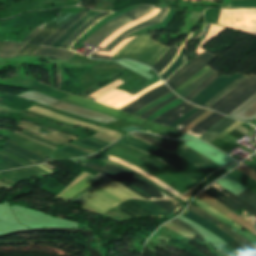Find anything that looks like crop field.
Returning a JSON list of instances; mask_svg holds the SVG:
<instances>
[{
	"instance_id": "obj_14",
	"label": "crop field",
	"mask_w": 256,
	"mask_h": 256,
	"mask_svg": "<svg viewBox=\"0 0 256 256\" xmlns=\"http://www.w3.org/2000/svg\"><path fill=\"white\" fill-rule=\"evenodd\" d=\"M184 217L194 221L195 223L199 224L203 228L207 229L208 231H210L211 233H213L214 235L222 239L224 242H226L228 245L235 242L231 238H229L227 235H225L223 232H221L219 229H217L214 225L198 218L196 215H194L190 211L187 214H185ZM229 246H231L235 251L239 252L243 256H255L250 251H248L247 249H245L244 247H242L236 242Z\"/></svg>"
},
{
	"instance_id": "obj_34",
	"label": "crop field",
	"mask_w": 256,
	"mask_h": 256,
	"mask_svg": "<svg viewBox=\"0 0 256 256\" xmlns=\"http://www.w3.org/2000/svg\"><path fill=\"white\" fill-rule=\"evenodd\" d=\"M17 96L28 98V99L40 102L45 105H51V104L58 102V100H56V99H53V98H50V97H47V96H44V95H41V94H38V93H35L32 91L25 92V93H22Z\"/></svg>"
},
{
	"instance_id": "obj_16",
	"label": "crop field",
	"mask_w": 256,
	"mask_h": 256,
	"mask_svg": "<svg viewBox=\"0 0 256 256\" xmlns=\"http://www.w3.org/2000/svg\"><path fill=\"white\" fill-rule=\"evenodd\" d=\"M188 209L193 211L198 216L211 221L213 224H215L218 228H220L223 232H225L227 235L235 239L237 242H239L241 245H243L245 248L250 250L256 255V246L245 239H243L241 236H239L236 232L231 230L230 228L226 227L222 222L218 221L217 219L213 218L212 216L206 214L202 210H200L197 207H193L192 205H189Z\"/></svg>"
},
{
	"instance_id": "obj_2",
	"label": "crop field",
	"mask_w": 256,
	"mask_h": 256,
	"mask_svg": "<svg viewBox=\"0 0 256 256\" xmlns=\"http://www.w3.org/2000/svg\"><path fill=\"white\" fill-rule=\"evenodd\" d=\"M66 103L88 108L100 113H104L113 117H116L118 119L124 120L126 122L132 123L134 125H137L141 128L147 129L146 132H150L156 135H159L161 137L167 138V139H176L183 135L184 133L178 132L172 128L161 126L152 122H149L147 120L139 119L135 116L129 115L127 113L116 111L114 109L102 106L100 104H97L95 102L86 101L83 99L76 98L72 95H66L63 100Z\"/></svg>"
},
{
	"instance_id": "obj_24",
	"label": "crop field",
	"mask_w": 256,
	"mask_h": 256,
	"mask_svg": "<svg viewBox=\"0 0 256 256\" xmlns=\"http://www.w3.org/2000/svg\"><path fill=\"white\" fill-rule=\"evenodd\" d=\"M161 9H162V8H161ZM158 11H159V9L155 8L152 12L146 14L145 16H143V17H141V18H139V19H137V20H135V21H133V22H131V23L125 25L124 27H122V28L116 30V31H115L114 33H112L109 37H107L104 41H102L101 44L99 45V47H101V48L104 49L112 40H114V39H115L119 34H121L124 30H126V29H128V28H130V27H132V26H134V25H136V24H138V23H140V22H142V21H144V20H146V19H148V18L154 16V15H156ZM160 11H161V10H160ZM160 11H159V13H160ZM159 13H158L157 15H159ZM157 15H156V16H157ZM123 33H124V32H123ZM119 36H120V35H119ZM112 42H113V41H112ZM112 42H111V43H112ZM111 43H110V44H111ZM110 44H109V45H110ZM109 45H108V46H109Z\"/></svg>"
},
{
	"instance_id": "obj_15",
	"label": "crop field",
	"mask_w": 256,
	"mask_h": 256,
	"mask_svg": "<svg viewBox=\"0 0 256 256\" xmlns=\"http://www.w3.org/2000/svg\"><path fill=\"white\" fill-rule=\"evenodd\" d=\"M49 107H53L62 111H66L84 118H88L91 120H95L98 122H102L105 124H110L112 122L117 121L118 119L112 118L110 116H106V115H102L99 113H96L94 111L88 110V109H84V108H80V107H76V106H72L66 103H62V102H58L57 104L53 105V106H49Z\"/></svg>"
},
{
	"instance_id": "obj_17",
	"label": "crop field",
	"mask_w": 256,
	"mask_h": 256,
	"mask_svg": "<svg viewBox=\"0 0 256 256\" xmlns=\"http://www.w3.org/2000/svg\"><path fill=\"white\" fill-rule=\"evenodd\" d=\"M169 92H171L170 89L165 85L158 87L153 91L143 95L142 97H140L139 99L131 103L130 105H128L126 108L123 109V111L133 114L139 109H141L143 106H145L146 104L162 97L163 95Z\"/></svg>"
},
{
	"instance_id": "obj_60",
	"label": "crop field",
	"mask_w": 256,
	"mask_h": 256,
	"mask_svg": "<svg viewBox=\"0 0 256 256\" xmlns=\"http://www.w3.org/2000/svg\"><path fill=\"white\" fill-rule=\"evenodd\" d=\"M91 58H99V59H106V60H110L109 57H105V56H98V55H93Z\"/></svg>"
},
{
	"instance_id": "obj_52",
	"label": "crop field",
	"mask_w": 256,
	"mask_h": 256,
	"mask_svg": "<svg viewBox=\"0 0 256 256\" xmlns=\"http://www.w3.org/2000/svg\"><path fill=\"white\" fill-rule=\"evenodd\" d=\"M38 46H29L26 45L24 48H22L16 56H25L33 53L35 50H37Z\"/></svg>"
},
{
	"instance_id": "obj_4",
	"label": "crop field",
	"mask_w": 256,
	"mask_h": 256,
	"mask_svg": "<svg viewBox=\"0 0 256 256\" xmlns=\"http://www.w3.org/2000/svg\"><path fill=\"white\" fill-rule=\"evenodd\" d=\"M81 166L99 171L130 188L146 199H167L169 196L165 195L156 188L148 185L135 175L118 168L116 166L106 164L103 168L85 163Z\"/></svg>"
},
{
	"instance_id": "obj_25",
	"label": "crop field",
	"mask_w": 256,
	"mask_h": 256,
	"mask_svg": "<svg viewBox=\"0 0 256 256\" xmlns=\"http://www.w3.org/2000/svg\"><path fill=\"white\" fill-rule=\"evenodd\" d=\"M33 54L43 56V57L53 58V59L64 60V61H67L69 58H71L74 55V53L70 51L57 50V49L45 48V47H40Z\"/></svg>"
},
{
	"instance_id": "obj_59",
	"label": "crop field",
	"mask_w": 256,
	"mask_h": 256,
	"mask_svg": "<svg viewBox=\"0 0 256 256\" xmlns=\"http://www.w3.org/2000/svg\"><path fill=\"white\" fill-rule=\"evenodd\" d=\"M223 7H231V2H230V0H224V2H223Z\"/></svg>"
},
{
	"instance_id": "obj_38",
	"label": "crop field",
	"mask_w": 256,
	"mask_h": 256,
	"mask_svg": "<svg viewBox=\"0 0 256 256\" xmlns=\"http://www.w3.org/2000/svg\"><path fill=\"white\" fill-rule=\"evenodd\" d=\"M132 136H136L138 138H141L143 140H146L148 142H151V143H154L170 152L174 151L177 147L169 144V143H166V142H163V141H160V140H157V139H154V138H151V137H148V136H144V135H140V134H136V133H133L131 134Z\"/></svg>"
},
{
	"instance_id": "obj_23",
	"label": "crop field",
	"mask_w": 256,
	"mask_h": 256,
	"mask_svg": "<svg viewBox=\"0 0 256 256\" xmlns=\"http://www.w3.org/2000/svg\"><path fill=\"white\" fill-rule=\"evenodd\" d=\"M33 175H43L31 168H24V169H16V170H9L5 172H1L0 176L13 181L19 184L23 179Z\"/></svg>"
},
{
	"instance_id": "obj_50",
	"label": "crop field",
	"mask_w": 256,
	"mask_h": 256,
	"mask_svg": "<svg viewBox=\"0 0 256 256\" xmlns=\"http://www.w3.org/2000/svg\"><path fill=\"white\" fill-rule=\"evenodd\" d=\"M178 98L176 95L169 98L168 100L160 103L159 105L153 107L152 109H150L149 111H147L145 114H143L140 118H144L146 119L147 117H149L153 112H155L157 109L163 107L164 105H166L167 103L171 102L172 100Z\"/></svg>"
},
{
	"instance_id": "obj_1",
	"label": "crop field",
	"mask_w": 256,
	"mask_h": 256,
	"mask_svg": "<svg viewBox=\"0 0 256 256\" xmlns=\"http://www.w3.org/2000/svg\"><path fill=\"white\" fill-rule=\"evenodd\" d=\"M120 145L135 149L143 154L156 158L196 185L209 174L221 168L184 145L175 151L174 154L187 161L154 144L130 136L126 137Z\"/></svg>"
},
{
	"instance_id": "obj_32",
	"label": "crop field",
	"mask_w": 256,
	"mask_h": 256,
	"mask_svg": "<svg viewBox=\"0 0 256 256\" xmlns=\"http://www.w3.org/2000/svg\"><path fill=\"white\" fill-rule=\"evenodd\" d=\"M157 206L161 207L162 209L166 210L170 214H174L176 211L182 208V204L178 203L177 201L170 199V200H156L151 201Z\"/></svg>"
},
{
	"instance_id": "obj_43",
	"label": "crop field",
	"mask_w": 256,
	"mask_h": 256,
	"mask_svg": "<svg viewBox=\"0 0 256 256\" xmlns=\"http://www.w3.org/2000/svg\"><path fill=\"white\" fill-rule=\"evenodd\" d=\"M79 143L93 147L95 149L101 150L103 148H105L106 146H108V143L96 140L94 138L88 137L82 141H80Z\"/></svg>"
},
{
	"instance_id": "obj_36",
	"label": "crop field",
	"mask_w": 256,
	"mask_h": 256,
	"mask_svg": "<svg viewBox=\"0 0 256 256\" xmlns=\"http://www.w3.org/2000/svg\"><path fill=\"white\" fill-rule=\"evenodd\" d=\"M224 30H226V28L218 27V26H215V25L211 24L207 35L200 42V44H199V46H198V48H197L195 53L199 55L202 52H204L205 50L201 49L200 47L203 46L204 44H206L208 41H210L214 37H216L218 34L223 32Z\"/></svg>"
},
{
	"instance_id": "obj_65",
	"label": "crop field",
	"mask_w": 256,
	"mask_h": 256,
	"mask_svg": "<svg viewBox=\"0 0 256 256\" xmlns=\"http://www.w3.org/2000/svg\"><path fill=\"white\" fill-rule=\"evenodd\" d=\"M1 188V187H0Z\"/></svg>"
},
{
	"instance_id": "obj_63",
	"label": "crop field",
	"mask_w": 256,
	"mask_h": 256,
	"mask_svg": "<svg viewBox=\"0 0 256 256\" xmlns=\"http://www.w3.org/2000/svg\"><path fill=\"white\" fill-rule=\"evenodd\" d=\"M4 44V42H0V48H1V46Z\"/></svg>"
},
{
	"instance_id": "obj_30",
	"label": "crop field",
	"mask_w": 256,
	"mask_h": 256,
	"mask_svg": "<svg viewBox=\"0 0 256 256\" xmlns=\"http://www.w3.org/2000/svg\"><path fill=\"white\" fill-rule=\"evenodd\" d=\"M169 12V10L167 9H162L161 11V14L159 16H157L156 18L122 34L120 37H118L109 47L107 48H110V47H114L117 43H119L122 39L126 38L127 36H129L130 34H132L133 32H135L136 30L138 29H141L143 27H146V26H149V25H152V24H156V23H160L162 22V20L164 19V17L166 16V14Z\"/></svg>"
},
{
	"instance_id": "obj_61",
	"label": "crop field",
	"mask_w": 256,
	"mask_h": 256,
	"mask_svg": "<svg viewBox=\"0 0 256 256\" xmlns=\"http://www.w3.org/2000/svg\"><path fill=\"white\" fill-rule=\"evenodd\" d=\"M39 168H41V169H43V170H45V171H47V172H49V173H51V174H53V175H55L56 173H54V172H52V171H50V170H48V169H46V168H44V167H42V166H38Z\"/></svg>"
},
{
	"instance_id": "obj_46",
	"label": "crop field",
	"mask_w": 256,
	"mask_h": 256,
	"mask_svg": "<svg viewBox=\"0 0 256 256\" xmlns=\"http://www.w3.org/2000/svg\"><path fill=\"white\" fill-rule=\"evenodd\" d=\"M237 196H239L240 198H242L243 200H245L246 202H248L249 204L256 208V194H254L250 190L247 189Z\"/></svg>"
},
{
	"instance_id": "obj_33",
	"label": "crop field",
	"mask_w": 256,
	"mask_h": 256,
	"mask_svg": "<svg viewBox=\"0 0 256 256\" xmlns=\"http://www.w3.org/2000/svg\"><path fill=\"white\" fill-rule=\"evenodd\" d=\"M178 48L171 47L167 53L152 67L158 74L168 65L173 59Z\"/></svg>"
},
{
	"instance_id": "obj_6",
	"label": "crop field",
	"mask_w": 256,
	"mask_h": 256,
	"mask_svg": "<svg viewBox=\"0 0 256 256\" xmlns=\"http://www.w3.org/2000/svg\"><path fill=\"white\" fill-rule=\"evenodd\" d=\"M248 76L241 74H234L230 77H220L197 96H195L190 102L208 108L216 100L233 89L235 86L244 81Z\"/></svg>"
},
{
	"instance_id": "obj_20",
	"label": "crop field",
	"mask_w": 256,
	"mask_h": 256,
	"mask_svg": "<svg viewBox=\"0 0 256 256\" xmlns=\"http://www.w3.org/2000/svg\"><path fill=\"white\" fill-rule=\"evenodd\" d=\"M185 102V101H184ZM195 106L185 102L174 109L166 112L165 114L159 116L157 119H155L153 122H156L161 125L168 126L181 116H183L185 113L193 109Z\"/></svg>"
},
{
	"instance_id": "obj_40",
	"label": "crop field",
	"mask_w": 256,
	"mask_h": 256,
	"mask_svg": "<svg viewBox=\"0 0 256 256\" xmlns=\"http://www.w3.org/2000/svg\"><path fill=\"white\" fill-rule=\"evenodd\" d=\"M183 102H184V101L179 98V99H177V100H175V101L169 103L168 105L164 106L163 108L157 110V111H156L155 113H153L147 120L152 121V120H154L155 118H157L159 115L165 113L166 111H168V110L174 108L175 106H177V105H179V104H181V103H183Z\"/></svg>"
},
{
	"instance_id": "obj_42",
	"label": "crop field",
	"mask_w": 256,
	"mask_h": 256,
	"mask_svg": "<svg viewBox=\"0 0 256 256\" xmlns=\"http://www.w3.org/2000/svg\"><path fill=\"white\" fill-rule=\"evenodd\" d=\"M209 70L210 68L206 66L193 77H191L189 80H187L185 83H183L178 89L174 90V92H176L177 94L180 93L182 90H184L186 87H188L190 84H192L194 81H196L199 77H201Z\"/></svg>"
},
{
	"instance_id": "obj_7",
	"label": "crop field",
	"mask_w": 256,
	"mask_h": 256,
	"mask_svg": "<svg viewBox=\"0 0 256 256\" xmlns=\"http://www.w3.org/2000/svg\"><path fill=\"white\" fill-rule=\"evenodd\" d=\"M255 92L256 77L251 75L248 79L215 102L210 109L228 114L246 101Z\"/></svg>"
},
{
	"instance_id": "obj_56",
	"label": "crop field",
	"mask_w": 256,
	"mask_h": 256,
	"mask_svg": "<svg viewBox=\"0 0 256 256\" xmlns=\"http://www.w3.org/2000/svg\"><path fill=\"white\" fill-rule=\"evenodd\" d=\"M191 35H192V32L189 34V36H188V37L185 39V41L183 42V44H182V46H181L179 52L177 53V55H176V56L174 57V59L172 60L173 63H174V61L176 60V58L179 56V54L181 53V51H182L184 45H185L186 42L190 39ZM172 62L159 74V76L162 75L164 72H166V71L169 69V67L173 64Z\"/></svg>"
},
{
	"instance_id": "obj_5",
	"label": "crop field",
	"mask_w": 256,
	"mask_h": 256,
	"mask_svg": "<svg viewBox=\"0 0 256 256\" xmlns=\"http://www.w3.org/2000/svg\"><path fill=\"white\" fill-rule=\"evenodd\" d=\"M129 196L103 181L76 200L103 213L121 201L131 198Z\"/></svg>"
},
{
	"instance_id": "obj_13",
	"label": "crop field",
	"mask_w": 256,
	"mask_h": 256,
	"mask_svg": "<svg viewBox=\"0 0 256 256\" xmlns=\"http://www.w3.org/2000/svg\"><path fill=\"white\" fill-rule=\"evenodd\" d=\"M124 210L130 212L131 214L142 217L147 215H170L166 213L161 208L155 206L154 204L148 201H139V200H126L123 203L117 205Z\"/></svg>"
},
{
	"instance_id": "obj_64",
	"label": "crop field",
	"mask_w": 256,
	"mask_h": 256,
	"mask_svg": "<svg viewBox=\"0 0 256 256\" xmlns=\"http://www.w3.org/2000/svg\"><path fill=\"white\" fill-rule=\"evenodd\" d=\"M255 225H256V223H255Z\"/></svg>"
},
{
	"instance_id": "obj_19",
	"label": "crop field",
	"mask_w": 256,
	"mask_h": 256,
	"mask_svg": "<svg viewBox=\"0 0 256 256\" xmlns=\"http://www.w3.org/2000/svg\"><path fill=\"white\" fill-rule=\"evenodd\" d=\"M2 147H3V149H2L3 151L10 152V153L14 154L15 156H17V157L27 161L28 163H30L32 165H35L36 163L42 164V163L54 162L55 161L52 158L46 160V159H44L42 157H39V156H37V155H35V154H33V153H31V152L21 148V147L13 145V144H11L9 142L4 143ZM16 153H18L20 155H23V156L29 158L30 160H32V161H34L36 163H34V162H32V161H30V160H28V159H26V158L16 154Z\"/></svg>"
},
{
	"instance_id": "obj_29",
	"label": "crop field",
	"mask_w": 256,
	"mask_h": 256,
	"mask_svg": "<svg viewBox=\"0 0 256 256\" xmlns=\"http://www.w3.org/2000/svg\"><path fill=\"white\" fill-rule=\"evenodd\" d=\"M110 13H100L97 16H95L91 21H89L86 25L81 27L75 34H73L60 48L68 49L69 46L77 40L85 31H87L94 23H96L98 20L102 19L106 15Z\"/></svg>"
},
{
	"instance_id": "obj_47",
	"label": "crop field",
	"mask_w": 256,
	"mask_h": 256,
	"mask_svg": "<svg viewBox=\"0 0 256 256\" xmlns=\"http://www.w3.org/2000/svg\"><path fill=\"white\" fill-rule=\"evenodd\" d=\"M103 161L106 162V163H110V164L116 165V166H118V167H121V168H123V169H125V170H127V171H129V172H131V173H133V174H135V175H137L138 177L142 178L143 180L147 181L148 183L152 184L153 186L159 188L161 191H163V192L166 193L167 195L171 196L172 198L175 197V196H173L172 194H170L169 192H167L166 190H164L163 188L159 187V186L156 185L155 183H153V182H151L150 180H148L147 178L143 177L142 175H140V174H138V173H136V172H134V171H131V170L125 168V167H122V166H120V165H118V164H116V163H114V162L105 161V160H103Z\"/></svg>"
},
{
	"instance_id": "obj_54",
	"label": "crop field",
	"mask_w": 256,
	"mask_h": 256,
	"mask_svg": "<svg viewBox=\"0 0 256 256\" xmlns=\"http://www.w3.org/2000/svg\"><path fill=\"white\" fill-rule=\"evenodd\" d=\"M59 150L67 153V154H70L72 156H76V157H81V156H86V155H90V154H86V153H82L80 151H76V150H73L71 148H68L66 146L60 148Z\"/></svg>"
},
{
	"instance_id": "obj_27",
	"label": "crop field",
	"mask_w": 256,
	"mask_h": 256,
	"mask_svg": "<svg viewBox=\"0 0 256 256\" xmlns=\"http://www.w3.org/2000/svg\"><path fill=\"white\" fill-rule=\"evenodd\" d=\"M89 11H81L76 16L68 20L64 25H62L50 38H48L42 45L50 46L55 40H57L69 27L76 23L83 15L87 14Z\"/></svg>"
},
{
	"instance_id": "obj_57",
	"label": "crop field",
	"mask_w": 256,
	"mask_h": 256,
	"mask_svg": "<svg viewBox=\"0 0 256 256\" xmlns=\"http://www.w3.org/2000/svg\"><path fill=\"white\" fill-rule=\"evenodd\" d=\"M199 109L195 108L192 111H190L189 113H187L186 115H184L182 118H180L179 120H177L175 123H173L172 125H170L169 127L174 128L175 126H177L179 123H181L182 121L186 120L187 118H189L191 115H193L195 112H197Z\"/></svg>"
},
{
	"instance_id": "obj_41",
	"label": "crop field",
	"mask_w": 256,
	"mask_h": 256,
	"mask_svg": "<svg viewBox=\"0 0 256 256\" xmlns=\"http://www.w3.org/2000/svg\"><path fill=\"white\" fill-rule=\"evenodd\" d=\"M91 176V175H90ZM89 177V176H88ZM88 177H86L85 179H87ZM96 177H93V176H91L90 178H88L86 181H84L85 179H83L81 182H83V183H81V182H79L78 184H80V185H78V184H76L75 186H77V187H75V186H73L71 189H73L74 187V189L73 190H71V189H69L68 191H70V192H68V191H66L65 193H64V195L65 196H63V197H69L72 193H74L75 191H77L78 189H80L81 187H83L84 185H86L87 183H89L90 181H92L93 179H95ZM98 179V178H97ZM96 180V179H95ZM95 180H93L92 182H90L89 184H87L86 186H84L83 188H81L80 190H78L77 192H75L74 194H72L70 197H72V196H74L75 194H77L78 192H80L82 189H84L85 187H87L88 185H90L91 183H93Z\"/></svg>"
},
{
	"instance_id": "obj_11",
	"label": "crop field",
	"mask_w": 256,
	"mask_h": 256,
	"mask_svg": "<svg viewBox=\"0 0 256 256\" xmlns=\"http://www.w3.org/2000/svg\"><path fill=\"white\" fill-rule=\"evenodd\" d=\"M203 191L211 195L232 211L236 209H244L256 217V209L215 182L209 185Z\"/></svg>"
},
{
	"instance_id": "obj_18",
	"label": "crop field",
	"mask_w": 256,
	"mask_h": 256,
	"mask_svg": "<svg viewBox=\"0 0 256 256\" xmlns=\"http://www.w3.org/2000/svg\"><path fill=\"white\" fill-rule=\"evenodd\" d=\"M199 208L203 209L207 213L215 216L219 220L223 221L226 223L228 226H230L233 230H235L237 233L241 234L242 236L246 237L248 240H250L252 243L256 244V237H254L252 234L249 232H241L242 228H240L238 225H236L234 222L229 220L227 217H225L223 214L218 212L217 210L211 208L207 204H205L203 201L200 199L196 198L193 201Z\"/></svg>"
},
{
	"instance_id": "obj_45",
	"label": "crop field",
	"mask_w": 256,
	"mask_h": 256,
	"mask_svg": "<svg viewBox=\"0 0 256 256\" xmlns=\"http://www.w3.org/2000/svg\"><path fill=\"white\" fill-rule=\"evenodd\" d=\"M213 73V71L207 72L205 75H203L200 79H198L196 82H194L192 85H190L187 89L182 91L180 94L181 97H185L187 94H189L194 88H196L199 84H201L203 81H205L208 77H210Z\"/></svg>"
},
{
	"instance_id": "obj_49",
	"label": "crop field",
	"mask_w": 256,
	"mask_h": 256,
	"mask_svg": "<svg viewBox=\"0 0 256 256\" xmlns=\"http://www.w3.org/2000/svg\"><path fill=\"white\" fill-rule=\"evenodd\" d=\"M183 62H184V58H183V56H180L179 59H178V61H177L175 64H173V65L170 67V69H169L165 74H163V75L161 76V78H162L163 80H165L166 78H168L172 73H174V72L177 70V68H178Z\"/></svg>"
},
{
	"instance_id": "obj_3",
	"label": "crop field",
	"mask_w": 256,
	"mask_h": 256,
	"mask_svg": "<svg viewBox=\"0 0 256 256\" xmlns=\"http://www.w3.org/2000/svg\"><path fill=\"white\" fill-rule=\"evenodd\" d=\"M168 48L151 41L148 34H142L124 45L112 60L131 59L153 66Z\"/></svg>"
},
{
	"instance_id": "obj_9",
	"label": "crop field",
	"mask_w": 256,
	"mask_h": 256,
	"mask_svg": "<svg viewBox=\"0 0 256 256\" xmlns=\"http://www.w3.org/2000/svg\"><path fill=\"white\" fill-rule=\"evenodd\" d=\"M217 24L256 35V12H221Z\"/></svg>"
},
{
	"instance_id": "obj_62",
	"label": "crop field",
	"mask_w": 256,
	"mask_h": 256,
	"mask_svg": "<svg viewBox=\"0 0 256 256\" xmlns=\"http://www.w3.org/2000/svg\"><path fill=\"white\" fill-rule=\"evenodd\" d=\"M179 198L183 199V200L186 201V202H187V200H188V198H186V197H184V196H181V197H179Z\"/></svg>"
},
{
	"instance_id": "obj_28",
	"label": "crop field",
	"mask_w": 256,
	"mask_h": 256,
	"mask_svg": "<svg viewBox=\"0 0 256 256\" xmlns=\"http://www.w3.org/2000/svg\"><path fill=\"white\" fill-rule=\"evenodd\" d=\"M108 158H109V160H111V161L117 162V163H119V164H121V165H123V166H125V167H127V168H130V169H132V170H134V171H136V172H138V173L144 175L145 177H147L148 179H150V180H152L153 182L157 183L158 185L162 186L163 188L167 189L168 191H170V192L173 193L174 195H176V196H181V195H179L177 192H175L173 189H171L169 186H167L166 184L160 182L159 180L155 179L154 177H152V176L148 175L147 173L141 171L140 169H138V168L135 167L134 165H132V164L126 162V161H123V160H120V159L111 157V156H109V155H108Z\"/></svg>"
},
{
	"instance_id": "obj_35",
	"label": "crop field",
	"mask_w": 256,
	"mask_h": 256,
	"mask_svg": "<svg viewBox=\"0 0 256 256\" xmlns=\"http://www.w3.org/2000/svg\"><path fill=\"white\" fill-rule=\"evenodd\" d=\"M24 45L5 42L0 49V58H12Z\"/></svg>"
},
{
	"instance_id": "obj_58",
	"label": "crop field",
	"mask_w": 256,
	"mask_h": 256,
	"mask_svg": "<svg viewBox=\"0 0 256 256\" xmlns=\"http://www.w3.org/2000/svg\"><path fill=\"white\" fill-rule=\"evenodd\" d=\"M41 29L36 28L30 35H28L22 42L27 43L31 40L37 33H39Z\"/></svg>"
},
{
	"instance_id": "obj_26",
	"label": "crop field",
	"mask_w": 256,
	"mask_h": 256,
	"mask_svg": "<svg viewBox=\"0 0 256 256\" xmlns=\"http://www.w3.org/2000/svg\"><path fill=\"white\" fill-rule=\"evenodd\" d=\"M235 120L224 118L222 121L217 123L216 125L212 126L210 130H208L203 136H201L199 139L209 142L211 141L215 136H217L220 132H222L224 129H226L229 125H231Z\"/></svg>"
},
{
	"instance_id": "obj_21",
	"label": "crop field",
	"mask_w": 256,
	"mask_h": 256,
	"mask_svg": "<svg viewBox=\"0 0 256 256\" xmlns=\"http://www.w3.org/2000/svg\"><path fill=\"white\" fill-rule=\"evenodd\" d=\"M228 115L245 121L253 118L256 115V93Z\"/></svg>"
},
{
	"instance_id": "obj_48",
	"label": "crop field",
	"mask_w": 256,
	"mask_h": 256,
	"mask_svg": "<svg viewBox=\"0 0 256 256\" xmlns=\"http://www.w3.org/2000/svg\"><path fill=\"white\" fill-rule=\"evenodd\" d=\"M173 95H175V94L172 92V93H170V94H168V95H166V96H164V97H162V98H160V99H158V100L152 102L151 104L145 106L144 108H142L140 111H138V112H137L136 114H134V115H136V116H138V117L141 116L143 113H145L147 110H149V109L152 108L153 106L159 104L160 102H162V101L168 99L169 97H171V96H173Z\"/></svg>"
},
{
	"instance_id": "obj_37",
	"label": "crop field",
	"mask_w": 256,
	"mask_h": 256,
	"mask_svg": "<svg viewBox=\"0 0 256 256\" xmlns=\"http://www.w3.org/2000/svg\"><path fill=\"white\" fill-rule=\"evenodd\" d=\"M56 30V28L45 26V28L28 43L33 45H41Z\"/></svg>"
},
{
	"instance_id": "obj_10",
	"label": "crop field",
	"mask_w": 256,
	"mask_h": 256,
	"mask_svg": "<svg viewBox=\"0 0 256 256\" xmlns=\"http://www.w3.org/2000/svg\"><path fill=\"white\" fill-rule=\"evenodd\" d=\"M215 58L214 55L209 52H204L198 57L191 60L184 67L178 70L175 74H173L168 80L167 83L172 89L177 88L191 76H193L196 72L206 66L208 63L213 61Z\"/></svg>"
},
{
	"instance_id": "obj_31",
	"label": "crop field",
	"mask_w": 256,
	"mask_h": 256,
	"mask_svg": "<svg viewBox=\"0 0 256 256\" xmlns=\"http://www.w3.org/2000/svg\"><path fill=\"white\" fill-rule=\"evenodd\" d=\"M94 15V13H89L84 18L79 20L73 27H71L58 41H56L52 47L59 48L78 28L83 26L88 20H90Z\"/></svg>"
},
{
	"instance_id": "obj_22",
	"label": "crop field",
	"mask_w": 256,
	"mask_h": 256,
	"mask_svg": "<svg viewBox=\"0 0 256 256\" xmlns=\"http://www.w3.org/2000/svg\"><path fill=\"white\" fill-rule=\"evenodd\" d=\"M225 116L219 115L217 113H212L206 119H204L201 123L191 129L187 134L194 135L196 137H200L204 134L212 125L223 119Z\"/></svg>"
},
{
	"instance_id": "obj_44",
	"label": "crop field",
	"mask_w": 256,
	"mask_h": 256,
	"mask_svg": "<svg viewBox=\"0 0 256 256\" xmlns=\"http://www.w3.org/2000/svg\"><path fill=\"white\" fill-rule=\"evenodd\" d=\"M0 161L3 163H0V171L2 170H7V169H12V168H18V167H23L21 164L3 156L0 154Z\"/></svg>"
},
{
	"instance_id": "obj_39",
	"label": "crop field",
	"mask_w": 256,
	"mask_h": 256,
	"mask_svg": "<svg viewBox=\"0 0 256 256\" xmlns=\"http://www.w3.org/2000/svg\"><path fill=\"white\" fill-rule=\"evenodd\" d=\"M218 77H220L219 73H215L210 78H208L205 82H203L201 85H199L195 90H193L188 96H186L184 99L189 101L192 99L195 95H197L201 90H203L206 86H208L210 83H212L214 80H216Z\"/></svg>"
},
{
	"instance_id": "obj_51",
	"label": "crop field",
	"mask_w": 256,
	"mask_h": 256,
	"mask_svg": "<svg viewBox=\"0 0 256 256\" xmlns=\"http://www.w3.org/2000/svg\"><path fill=\"white\" fill-rule=\"evenodd\" d=\"M177 225H179L180 227L184 228L185 230L191 232L192 234L204 239L200 234H198L191 226H189L188 224L184 223L183 221L179 220V219H175L173 221H171Z\"/></svg>"
},
{
	"instance_id": "obj_12",
	"label": "crop field",
	"mask_w": 256,
	"mask_h": 256,
	"mask_svg": "<svg viewBox=\"0 0 256 256\" xmlns=\"http://www.w3.org/2000/svg\"><path fill=\"white\" fill-rule=\"evenodd\" d=\"M17 127L22 128L24 130H27V131H29V132L37 135V136H40V137L45 138L47 140H50V141H52L54 143H57L59 145L64 144V145H66L68 147H71L73 149H77V150L84 151V152L91 153V154L94 153V152H91V151H87V150H84V149H81V148L74 147L75 145L74 146L70 145L68 142L75 140L74 137L59 134V133H55V132H51V131H47V130L42 129L38 126L27 124L23 121H21L17 125Z\"/></svg>"
},
{
	"instance_id": "obj_55",
	"label": "crop field",
	"mask_w": 256,
	"mask_h": 256,
	"mask_svg": "<svg viewBox=\"0 0 256 256\" xmlns=\"http://www.w3.org/2000/svg\"><path fill=\"white\" fill-rule=\"evenodd\" d=\"M205 110L201 109L200 111H198L196 114H194L192 117H190L188 120H186L185 122L179 124L177 127H175V129H182L185 126H187L191 121H193L198 115H200L201 113H203ZM206 112V111H205ZM199 117V116H198Z\"/></svg>"
},
{
	"instance_id": "obj_8",
	"label": "crop field",
	"mask_w": 256,
	"mask_h": 256,
	"mask_svg": "<svg viewBox=\"0 0 256 256\" xmlns=\"http://www.w3.org/2000/svg\"><path fill=\"white\" fill-rule=\"evenodd\" d=\"M152 9H153V7H151V6L142 5L134 10L124 13V14L112 19L108 23H106L104 26H102L100 29H98L94 34H92L85 42L97 47L99 45V43L104 38H106L108 35H110L116 29H118L122 25H124L134 19H137V18L145 15L146 13L150 12Z\"/></svg>"
},
{
	"instance_id": "obj_53",
	"label": "crop field",
	"mask_w": 256,
	"mask_h": 256,
	"mask_svg": "<svg viewBox=\"0 0 256 256\" xmlns=\"http://www.w3.org/2000/svg\"><path fill=\"white\" fill-rule=\"evenodd\" d=\"M132 38H128L123 40L121 43H119L110 53H106V52H99L97 54L99 55H106V56H110L113 57V55L127 42H129Z\"/></svg>"
}]
</instances>
